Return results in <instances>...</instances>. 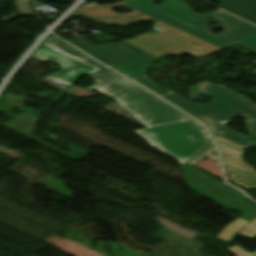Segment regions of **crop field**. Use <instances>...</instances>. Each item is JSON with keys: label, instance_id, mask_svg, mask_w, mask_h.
Returning a JSON list of instances; mask_svg holds the SVG:
<instances>
[{"label": "crop field", "instance_id": "crop-field-17", "mask_svg": "<svg viewBox=\"0 0 256 256\" xmlns=\"http://www.w3.org/2000/svg\"><path fill=\"white\" fill-rule=\"evenodd\" d=\"M232 253L236 254L237 256H255L253 254H248L244 252L239 246L228 248Z\"/></svg>", "mask_w": 256, "mask_h": 256}, {"label": "crop field", "instance_id": "crop-field-15", "mask_svg": "<svg viewBox=\"0 0 256 256\" xmlns=\"http://www.w3.org/2000/svg\"><path fill=\"white\" fill-rule=\"evenodd\" d=\"M208 156L212 158L213 160L218 162L217 156H216V150L214 149L213 146H209L202 154H200L197 158H195L192 162L189 164L194 165L196 162H198L202 157Z\"/></svg>", "mask_w": 256, "mask_h": 256}, {"label": "crop field", "instance_id": "crop-field-3", "mask_svg": "<svg viewBox=\"0 0 256 256\" xmlns=\"http://www.w3.org/2000/svg\"><path fill=\"white\" fill-rule=\"evenodd\" d=\"M135 81L154 91L162 98L183 109L195 118L212 115L218 135L245 148L256 144V104L250 103L251 99L239 95L221 85H213L203 81L199 83L196 90L214 100L204 105H198L172 91L153 84L146 76ZM238 114L248 119L247 124L251 133V136L248 138L222 127L229 119Z\"/></svg>", "mask_w": 256, "mask_h": 256}, {"label": "crop field", "instance_id": "crop-field-16", "mask_svg": "<svg viewBox=\"0 0 256 256\" xmlns=\"http://www.w3.org/2000/svg\"><path fill=\"white\" fill-rule=\"evenodd\" d=\"M29 0H17L19 12L32 15L30 10V5L28 3Z\"/></svg>", "mask_w": 256, "mask_h": 256}, {"label": "crop field", "instance_id": "crop-field-8", "mask_svg": "<svg viewBox=\"0 0 256 256\" xmlns=\"http://www.w3.org/2000/svg\"><path fill=\"white\" fill-rule=\"evenodd\" d=\"M157 59L158 57L145 52L109 66L135 80L144 76L148 66Z\"/></svg>", "mask_w": 256, "mask_h": 256}, {"label": "crop field", "instance_id": "crop-field-4", "mask_svg": "<svg viewBox=\"0 0 256 256\" xmlns=\"http://www.w3.org/2000/svg\"><path fill=\"white\" fill-rule=\"evenodd\" d=\"M126 42L158 57L167 55L177 57L186 54L196 58H204L222 50L160 21L155 23L152 32ZM193 48L198 51L192 50Z\"/></svg>", "mask_w": 256, "mask_h": 256}, {"label": "crop field", "instance_id": "crop-field-6", "mask_svg": "<svg viewBox=\"0 0 256 256\" xmlns=\"http://www.w3.org/2000/svg\"><path fill=\"white\" fill-rule=\"evenodd\" d=\"M67 41L106 65L145 52L123 41L119 43L100 44L98 46L84 39Z\"/></svg>", "mask_w": 256, "mask_h": 256}, {"label": "crop field", "instance_id": "crop-field-13", "mask_svg": "<svg viewBox=\"0 0 256 256\" xmlns=\"http://www.w3.org/2000/svg\"><path fill=\"white\" fill-rule=\"evenodd\" d=\"M69 15L73 16V17H75V16H83V15H81L79 13H76V12H73V13H71ZM83 17H85V16H83ZM85 18H87V17H85ZM150 20H154V18H151L149 16L143 15L141 17H137V18H133V19L126 18V17H119V18H113V19L92 20V21H95L97 23L104 22V23H106L108 25L114 24V23H118L120 25H128V24H132V23H136V22H146V21H150Z\"/></svg>", "mask_w": 256, "mask_h": 256}, {"label": "crop field", "instance_id": "crop-field-12", "mask_svg": "<svg viewBox=\"0 0 256 256\" xmlns=\"http://www.w3.org/2000/svg\"><path fill=\"white\" fill-rule=\"evenodd\" d=\"M247 221L242 219H237L231 224H229L225 229H223L217 237L222 240L230 242L235 233L240 230L243 226H245ZM239 234H242L247 237L254 238L256 236V220L246 226Z\"/></svg>", "mask_w": 256, "mask_h": 256}, {"label": "crop field", "instance_id": "crop-field-11", "mask_svg": "<svg viewBox=\"0 0 256 256\" xmlns=\"http://www.w3.org/2000/svg\"><path fill=\"white\" fill-rule=\"evenodd\" d=\"M118 7H124V8H127V9H131L127 6H124L120 3H117L113 6H111V5H104V6L94 5V6H88V7H78L76 9V11L84 13L88 16L93 17V18L123 16V15H119V14H116V13L112 12L113 10L117 9ZM131 10H133V12L130 13V14H126V16L133 17V16H137V15L142 14L141 12L136 11L134 9H131Z\"/></svg>", "mask_w": 256, "mask_h": 256}, {"label": "crop field", "instance_id": "crop-field-1", "mask_svg": "<svg viewBox=\"0 0 256 256\" xmlns=\"http://www.w3.org/2000/svg\"><path fill=\"white\" fill-rule=\"evenodd\" d=\"M52 36L34 54L41 60H55L62 67L46 79L71 85L78 77L89 74L96 84L87 89L115 98L148 127L135 132L180 163L186 164L210 145L200 124Z\"/></svg>", "mask_w": 256, "mask_h": 256}, {"label": "crop field", "instance_id": "crop-field-7", "mask_svg": "<svg viewBox=\"0 0 256 256\" xmlns=\"http://www.w3.org/2000/svg\"><path fill=\"white\" fill-rule=\"evenodd\" d=\"M186 182L188 184V187L204 196L207 198L211 199L212 201L216 202L217 204L221 205L222 207L228 209V208H243V212L241 214V218L251 221L254 217H256V211L249 209L247 207L241 206L228 198L224 197L223 195L213 191L212 189L200 184L199 182L193 180L191 178V175L188 171V168L186 165L181 164Z\"/></svg>", "mask_w": 256, "mask_h": 256}, {"label": "crop field", "instance_id": "crop-field-10", "mask_svg": "<svg viewBox=\"0 0 256 256\" xmlns=\"http://www.w3.org/2000/svg\"><path fill=\"white\" fill-rule=\"evenodd\" d=\"M222 5L218 8L243 17L256 24V0H214ZM231 13V14H232Z\"/></svg>", "mask_w": 256, "mask_h": 256}, {"label": "crop field", "instance_id": "crop-field-14", "mask_svg": "<svg viewBox=\"0 0 256 256\" xmlns=\"http://www.w3.org/2000/svg\"><path fill=\"white\" fill-rule=\"evenodd\" d=\"M109 244L113 256H150L148 254L121 249L119 242H111Z\"/></svg>", "mask_w": 256, "mask_h": 256}, {"label": "crop field", "instance_id": "crop-field-5", "mask_svg": "<svg viewBox=\"0 0 256 256\" xmlns=\"http://www.w3.org/2000/svg\"><path fill=\"white\" fill-rule=\"evenodd\" d=\"M198 120L207 125L214 141L219 146L221 158L225 169L231 176V182L245 189L256 188V171L242 160L244 148L217 136L211 116Z\"/></svg>", "mask_w": 256, "mask_h": 256}, {"label": "crop field", "instance_id": "crop-field-2", "mask_svg": "<svg viewBox=\"0 0 256 256\" xmlns=\"http://www.w3.org/2000/svg\"><path fill=\"white\" fill-rule=\"evenodd\" d=\"M153 1L155 0H125L121 3L222 49L237 43L256 52V27L241 19L219 9L207 15H198L181 0H161L162 5L151 4ZM208 16L223 23L225 31L214 35L206 24L205 18ZM251 72L256 75V69Z\"/></svg>", "mask_w": 256, "mask_h": 256}, {"label": "crop field", "instance_id": "crop-field-9", "mask_svg": "<svg viewBox=\"0 0 256 256\" xmlns=\"http://www.w3.org/2000/svg\"><path fill=\"white\" fill-rule=\"evenodd\" d=\"M189 166L194 179L201 181L202 183L208 185L209 187L217 190L218 192L224 194L225 196L229 197L230 199L240 204L255 208L247 201V197H245L240 191L230 187L227 184H223L213 179L211 176L204 174L201 171L195 169L194 166H191V165Z\"/></svg>", "mask_w": 256, "mask_h": 256}, {"label": "crop field", "instance_id": "crop-field-18", "mask_svg": "<svg viewBox=\"0 0 256 256\" xmlns=\"http://www.w3.org/2000/svg\"><path fill=\"white\" fill-rule=\"evenodd\" d=\"M256 254V253H255Z\"/></svg>", "mask_w": 256, "mask_h": 256}]
</instances>
